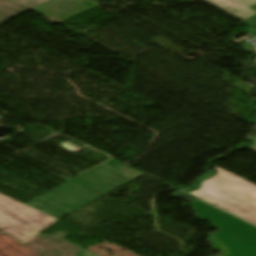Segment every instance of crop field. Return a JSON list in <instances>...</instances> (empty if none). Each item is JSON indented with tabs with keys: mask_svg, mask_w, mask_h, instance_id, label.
<instances>
[{
	"mask_svg": "<svg viewBox=\"0 0 256 256\" xmlns=\"http://www.w3.org/2000/svg\"><path fill=\"white\" fill-rule=\"evenodd\" d=\"M252 50L256 52V46H252ZM254 62L256 63V59L254 60Z\"/></svg>",
	"mask_w": 256,
	"mask_h": 256,
	"instance_id": "crop-field-10",
	"label": "crop field"
},
{
	"mask_svg": "<svg viewBox=\"0 0 256 256\" xmlns=\"http://www.w3.org/2000/svg\"><path fill=\"white\" fill-rule=\"evenodd\" d=\"M254 141H255V144H253L252 146H250L248 148H250L256 152V139Z\"/></svg>",
	"mask_w": 256,
	"mask_h": 256,
	"instance_id": "crop-field-9",
	"label": "crop field"
},
{
	"mask_svg": "<svg viewBox=\"0 0 256 256\" xmlns=\"http://www.w3.org/2000/svg\"><path fill=\"white\" fill-rule=\"evenodd\" d=\"M215 169L216 175L201 181L190 194L256 225V185L221 168Z\"/></svg>",
	"mask_w": 256,
	"mask_h": 256,
	"instance_id": "crop-field-2",
	"label": "crop field"
},
{
	"mask_svg": "<svg viewBox=\"0 0 256 256\" xmlns=\"http://www.w3.org/2000/svg\"><path fill=\"white\" fill-rule=\"evenodd\" d=\"M191 206L195 208L194 213L198 214L200 217L210 220L224 212L198 200L190 203Z\"/></svg>",
	"mask_w": 256,
	"mask_h": 256,
	"instance_id": "crop-field-6",
	"label": "crop field"
},
{
	"mask_svg": "<svg viewBox=\"0 0 256 256\" xmlns=\"http://www.w3.org/2000/svg\"><path fill=\"white\" fill-rule=\"evenodd\" d=\"M13 1H15L29 9H32V8L42 4L44 2H47L49 0H13Z\"/></svg>",
	"mask_w": 256,
	"mask_h": 256,
	"instance_id": "crop-field-7",
	"label": "crop field"
},
{
	"mask_svg": "<svg viewBox=\"0 0 256 256\" xmlns=\"http://www.w3.org/2000/svg\"><path fill=\"white\" fill-rule=\"evenodd\" d=\"M56 220L0 194V229L22 244Z\"/></svg>",
	"mask_w": 256,
	"mask_h": 256,
	"instance_id": "crop-field-3",
	"label": "crop field"
},
{
	"mask_svg": "<svg viewBox=\"0 0 256 256\" xmlns=\"http://www.w3.org/2000/svg\"><path fill=\"white\" fill-rule=\"evenodd\" d=\"M144 174L111 160L26 203L52 217H61Z\"/></svg>",
	"mask_w": 256,
	"mask_h": 256,
	"instance_id": "crop-field-1",
	"label": "crop field"
},
{
	"mask_svg": "<svg viewBox=\"0 0 256 256\" xmlns=\"http://www.w3.org/2000/svg\"><path fill=\"white\" fill-rule=\"evenodd\" d=\"M219 228L208 235L214 248L223 252L220 256H256V227L227 213L211 220Z\"/></svg>",
	"mask_w": 256,
	"mask_h": 256,
	"instance_id": "crop-field-4",
	"label": "crop field"
},
{
	"mask_svg": "<svg viewBox=\"0 0 256 256\" xmlns=\"http://www.w3.org/2000/svg\"><path fill=\"white\" fill-rule=\"evenodd\" d=\"M223 12L239 19L246 20L254 15L256 11L251 5L256 4V0H203Z\"/></svg>",
	"mask_w": 256,
	"mask_h": 256,
	"instance_id": "crop-field-5",
	"label": "crop field"
},
{
	"mask_svg": "<svg viewBox=\"0 0 256 256\" xmlns=\"http://www.w3.org/2000/svg\"><path fill=\"white\" fill-rule=\"evenodd\" d=\"M248 23H249V24H252V25H254V26H256V18H253V19L249 20ZM252 35H253L254 37H256V27H255V29H254Z\"/></svg>",
	"mask_w": 256,
	"mask_h": 256,
	"instance_id": "crop-field-8",
	"label": "crop field"
}]
</instances>
